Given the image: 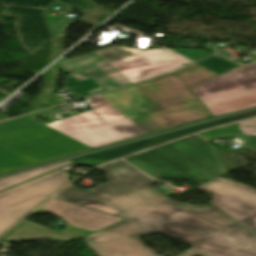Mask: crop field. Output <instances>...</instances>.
I'll list each match as a JSON object with an SVG mask.
<instances>
[{"mask_svg":"<svg viewBox=\"0 0 256 256\" xmlns=\"http://www.w3.org/2000/svg\"><path fill=\"white\" fill-rule=\"evenodd\" d=\"M44 113H45V115L47 116L46 117V120H49V121H54V112H52V110L51 109H49V110H44L43 111Z\"/></svg>","mask_w":256,"mask_h":256,"instance_id":"32","label":"crop field"},{"mask_svg":"<svg viewBox=\"0 0 256 256\" xmlns=\"http://www.w3.org/2000/svg\"><path fill=\"white\" fill-rule=\"evenodd\" d=\"M238 124L256 126V119L240 122ZM249 126H239L240 130L242 131L241 133L247 135H256V127Z\"/></svg>","mask_w":256,"mask_h":256,"instance_id":"30","label":"crop field"},{"mask_svg":"<svg viewBox=\"0 0 256 256\" xmlns=\"http://www.w3.org/2000/svg\"><path fill=\"white\" fill-rule=\"evenodd\" d=\"M214 195L213 203L256 234V196L233 181L217 178L200 187Z\"/></svg>","mask_w":256,"mask_h":256,"instance_id":"7","label":"crop field"},{"mask_svg":"<svg viewBox=\"0 0 256 256\" xmlns=\"http://www.w3.org/2000/svg\"><path fill=\"white\" fill-rule=\"evenodd\" d=\"M136 86L139 87L163 109L180 105V103H178L153 81L137 84Z\"/></svg>","mask_w":256,"mask_h":256,"instance_id":"22","label":"crop field"},{"mask_svg":"<svg viewBox=\"0 0 256 256\" xmlns=\"http://www.w3.org/2000/svg\"><path fill=\"white\" fill-rule=\"evenodd\" d=\"M213 117L256 105V62L239 66L193 88Z\"/></svg>","mask_w":256,"mask_h":256,"instance_id":"4","label":"crop field"},{"mask_svg":"<svg viewBox=\"0 0 256 256\" xmlns=\"http://www.w3.org/2000/svg\"><path fill=\"white\" fill-rule=\"evenodd\" d=\"M45 10L27 7L6 6L0 16L18 17L15 23L21 45L29 54H34L52 40L43 18Z\"/></svg>","mask_w":256,"mask_h":256,"instance_id":"8","label":"crop field"},{"mask_svg":"<svg viewBox=\"0 0 256 256\" xmlns=\"http://www.w3.org/2000/svg\"><path fill=\"white\" fill-rule=\"evenodd\" d=\"M119 92H121L146 114L162 110L161 107H159L135 85L119 90Z\"/></svg>","mask_w":256,"mask_h":256,"instance_id":"20","label":"crop field"},{"mask_svg":"<svg viewBox=\"0 0 256 256\" xmlns=\"http://www.w3.org/2000/svg\"><path fill=\"white\" fill-rule=\"evenodd\" d=\"M182 82L191 88L203 81H206L216 75L217 73L195 63L187 68H184L176 73Z\"/></svg>","mask_w":256,"mask_h":256,"instance_id":"17","label":"crop field"},{"mask_svg":"<svg viewBox=\"0 0 256 256\" xmlns=\"http://www.w3.org/2000/svg\"><path fill=\"white\" fill-rule=\"evenodd\" d=\"M67 174L57 170L0 193V234L68 183Z\"/></svg>","mask_w":256,"mask_h":256,"instance_id":"5","label":"crop field"},{"mask_svg":"<svg viewBox=\"0 0 256 256\" xmlns=\"http://www.w3.org/2000/svg\"><path fill=\"white\" fill-rule=\"evenodd\" d=\"M42 116H43L42 112H39V113L31 114V115L28 116V117H30V118H32V119H34V120H36V121H38V122H40V123H42V124H45V123L39 121L38 119H36L37 117H42Z\"/></svg>","mask_w":256,"mask_h":256,"instance_id":"34","label":"crop field"},{"mask_svg":"<svg viewBox=\"0 0 256 256\" xmlns=\"http://www.w3.org/2000/svg\"><path fill=\"white\" fill-rule=\"evenodd\" d=\"M154 82L181 104L196 100L175 74L154 80Z\"/></svg>","mask_w":256,"mask_h":256,"instance_id":"15","label":"crop field"},{"mask_svg":"<svg viewBox=\"0 0 256 256\" xmlns=\"http://www.w3.org/2000/svg\"><path fill=\"white\" fill-rule=\"evenodd\" d=\"M206 117H210V115L196 101L130 119L111 125V127L127 139Z\"/></svg>","mask_w":256,"mask_h":256,"instance_id":"6","label":"crop field"},{"mask_svg":"<svg viewBox=\"0 0 256 256\" xmlns=\"http://www.w3.org/2000/svg\"><path fill=\"white\" fill-rule=\"evenodd\" d=\"M91 102L86 103L89 105L99 117H101L109 125L127 120L121 113L114 109L100 96L90 98Z\"/></svg>","mask_w":256,"mask_h":256,"instance_id":"19","label":"crop field"},{"mask_svg":"<svg viewBox=\"0 0 256 256\" xmlns=\"http://www.w3.org/2000/svg\"><path fill=\"white\" fill-rule=\"evenodd\" d=\"M125 160L155 178L189 179L199 185L227 173L214 146L197 136Z\"/></svg>","mask_w":256,"mask_h":256,"instance_id":"2","label":"crop field"},{"mask_svg":"<svg viewBox=\"0 0 256 256\" xmlns=\"http://www.w3.org/2000/svg\"><path fill=\"white\" fill-rule=\"evenodd\" d=\"M101 96L128 119L145 115V113H143L118 91Z\"/></svg>","mask_w":256,"mask_h":256,"instance_id":"21","label":"crop field"},{"mask_svg":"<svg viewBox=\"0 0 256 256\" xmlns=\"http://www.w3.org/2000/svg\"><path fill=\"white\" fill-rule=\"evenodd\" d=\"M101 64H105L101 59H99L96 55L93 53L81 56L72 60H62L54 67L68 73H75L81 70H85L91 67H95Z\"/></svg>","mask_w":256,"mask_h":256,"instance_id":"18","label":"crop field"},{"mask_svg":"<svg viewBox=\"0 0 256 256\" xmlns=\"http://www.w3.org/2000/svg\"><path fill=\"white\" fill-rule=\"evenodd\" d=\"M238 132H241L238 128V125H232L225 128H218V129H215L206 133H202L199 135H201L205 139H209V138H213V137L224 135V134H233Z\"/></svg>","mask_w":256,"mask_h":256,"instance_id":"27","label":"crop field"},{"mask_svg":"<svg viewBox=\"0 0 256 256\" xmlns=\"http://www.w3.org/2000/svg\"><path fill=\"white\" fill-rule=\"evenodd\" d=\"M172 50H174V51H176L194 61L211 54V53H208L203 50H186V49H172Z\"/></svg>","mask_w":256,"mask_h":256,"instance_id":"29","label":"crop field"},{"mask_svg":"<svg viewBox=\"0 0 256 256\" xmlns=\"http://www.w3.org/2000/svg\"><path fill=\"white\" fill-rule=\"evenodd\" d=\"M183 63L188 64L190 62L184 59L183 57L179 56L148 66L137 68L131 71L120 73V75H122L126 80L132 83L173 71L183 66Z\"/></svg>","mask_w":256,"mask_h":256,"instance_id":"11","label":"crop field"},{"mask_svg":"<svg viewBox=\"0 0 256 256\" xmlns=\"http://www.w3.org/2000/svg\"><path fill=\"white\" fill-rule=\"evenodd\" d=\"M109 183L86 192L70 185L55 198L126 219L85 237L97 256H160L136 237L161 232L194 245L180 256H256V235L216 205L187 208L147 185L122 160L98 168Z\"/></svg>","mask_w":256,"mask_h":256,"instance_id":"1","label":"crop field"},{"mask_svg":"<svg viewBox=\"0 0 256 256\" xmlns=\"http://www.w3.org/2000/svg\"><path fill=\"white\" fill-rule=\"evenodd\" d=\"M199 64L219 73L222 74L230 69H233L239 65L229 62L227 60L212 56L205 60L198 62Z\"/></svg>","mask_w":256,"mask_h":256,"instance_id":"25","label":"crop field"},{"mask_svg":"<svg viewBox=\"0 0 256 256\" xmlns=\"http://www.w3.org/2000/svg\"><path fill=\"white\" fill-rule=\"evenodd\" d=\"M125 84H129V82H127L123 77L117 74L73 88H69V90L72 91L76 96L81 98Z\"/></svg>","mask_w":256,"mask_h":256,"instance_id":"14","label":"crop field"},{"mask_svg":"<svg viewBox=\"0 0 256 256\" xmlns=\"http://www.w3.org/2000/svg\"><path fill=\"white\" fill-rule=\"evenodd\" d=\"M51 213L66 221V231L55 232L24 220L3 240L55 239L67 243L112 225L123 218L52 198L34 214Z\"/></svg>","mask_w":256,"mask_h":256,"instance_id":"3","label":"crop field"},{"mask_svg":"<svg viewBox=\"0 0 256 256\" xmlns=\"http://www.w3.org/2000/svg\"><path fill=\"white\" fill-rule=\"evenodd\" d=\"M151 50H154V49H151ZM151 50H135V49H129L124 47L113 46L106 50L94 52V54H96L103 61L108 63V62H112L115 60H119L122 58L137 55V54L144 53Z\"/></svg>","mask_w":256,"mask_h":256,"instance_id":"24","label":"crop field"},{"mask_svg":"<svg viewBox=\"0 0 256 256\" xmlns=\"http://www.w3.org/2000/svg\"><path fill=\"white\" fill-rule=\"evenodd\" d=\"M252 116H256V110H252L249 112H245L242 114H238L232 117H228L222 120H218V121H214V122H210V123H206V124H202L199 126H195V127H191L188 129H184V130H180L177 132H173V133H169V134H165V135H161L158 137H154V138H150V139H146V140H142L139 142H135V143H131L128 145H124L121 147H117V148H113L110 150H106V151H102L96 154H92L89 156H85V157H81V158H77V159H73L71 161L75 162L78 160H81L83 158H87V159H106V160H111L113 158L131 153V152H135L141 149H145L190 133H193L195 131L198 130H202V129H206V128H210L219 124H226V123H230L236 120H240V119H244V118H248V117H252Z\"/></svg>","mask_w":256,"mask_h":256,"instance_id":"9","label":"crop field"},{"mask_svg":"<svg viewBox=\"0 0 256 256\" xmlns=\"http://www.w3.org/2000/svg\"><path fill=\"white\" fill-rule=\"evenodd\" d=\"M70 163H72V162L69 160V161L58 163V164L50 165V166H47V167H43V168H40V169H36V170H33V171L18 174V175H15V176L0 179V190L5 189V188H7L9 186H12L14 184L20 183L22 181L28 180L30 178L36 177L38 175L44 174L46 172L52 171V170L57 169L59 167L65 166V165L70 164Z\"/></svg>","mask_w":256,"mask_h":256,"instance_id":"23","label":"crop field"},{"mask_svg":"<svg viewBox=\"0 0 256 256\" xmlns=\"http://www.w3.org/2000/svg\"><path fill=\"white\" fill-rule=\"evenodd\" d=\"M106 161H102V160H82L79 162H76L77 165H82V166H92L95 167L101 163H104Z\"/></svg>","mask_w":256,"mask_h":256,"instance_id":"31","label":"crop field"},{"mask_svg":"<svg viewBox=\"0 0 256 256\" xmlns=\"http://www.w3.org/2000/svg\"><path fill=\"white\" fill-rule=\"evenodd\" d=\"M58 1H60L64 4H67V5L75 8V9H77V10L83 12V13H85L86 11H88L90 8H92L95 5V4L90 3L86 0H58Z\"/></svg>","mask_w":256,"mask_h":256,"instance_id":"28","label":"crop field"},{"mask_svg":"<svg viewBox=\"0 0 256 256\" xmlns=\"http://www.w3.org/2000/svg\"><path fill=\"white\" fill-rule=\"evenodd\" d=\"M45 125L66 136L108 126L92 111Z\"/></svg>","mask_w":256,"mask_h":256,"instance_id":"10","label":"crop field"},{"mask_svg":"<svg viewBox=\"0 0 256 256\" xmlns=\"http://www.w3.org/2000/svg\"><path fill=\"white\" fill-rule=\"evenodd\" d=\"M70 137L90 148L124 140V138L121 137L110 126L85 132L82 134L70 136Z\"/></svg>","mask_w":256,"mask_h":256,"instance_id":"13","label":"crop field"},{"mask_svg":"<svg viewBox=\"0 0 256 256\" xmlns=\"http://www.w3.org/2000/svg\"><path fill=\"white\" fill-rule=\"evenodd\" d=\"M54 0H0L1 4L46 9Z\"/></svg>","mask_w":256,"mask_h":256,"instance_id":"26","label":"crop field"},{"mask_svg":"<svg viewBox=\"0 0 256 256\" xmlns=\"http://www.w3.org/2000/svg\"><path fill=\"white\" fill-rule=\"evenodd\" d=\"M45 101L48 103L49 106L55 105V95L52 98L47 99Z\"/></svg>","mask_w":256,"mask_h":256,"instance_id":"35","label":"crop field"},{"mask_svg":"<svg viewBox=\"0 0 256 256\" xmlns=\"http://www.w3.org/2000/svg\"><path fill=\"white\" fill-rule=\"evenodd\" d=\"M236 184L239 186V188H241V189H243V190H246V191H248V192L253 193V194L256 195V190H255V189H252V188L243 186V185L238 184V183H236Z\"/></svg>","mask_w":256,"mask_h":256,"instance_id":"33","label":"crop field"},{"mask_svg":"<svg viewBox=\"0 0 256 256\" xmlns=\"http://www.w3.org/2000/svg\"><path fill=\"white\" fill-rule=\"evenodd\" d=\"M175 56H179V55L168 49L162 48V49L154 50L141 55H137L134 57H130L127 59H123L120 61L108 63V65H110L114 70L120 73V72L131 70L137 67L162 61L168 58H172Z\"/></svg>","mask_w":256,"mask_h":256,"instance_id":"12","label":"crop field"},{"mask_svg":"<svg viewBox=\"0 0 256 256\" xmlns=\"http://www.w3.org/2000/svg\"><path fill=\"white\" fill-rule=\"evenodd\" d=\"M113 74H117L111 67L107 64L101 65L95 68H91L85 71H81L75 74L69 75L65 87H73L79 84L90 82L96 79L107 77Z\"/></svg>","mask_w":256,"mask_h":256,"instance_id":"16","label":"crop field"}]
</instances>
